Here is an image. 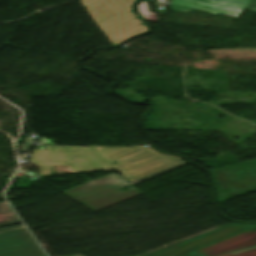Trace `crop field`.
<instances>
[{"mask_svg":"<svg viewBox=\"0 0 256 256\" xmlns=\"http://www.w3.org/2000/svg\"><path fill=\"white\" fill-rule=\"evenodd\" d=\"M119 162L111 165L110 163ZM183 161L181 158L154 152L142 145L132 147L47 146L34 150L33 164H40L39 174L51 175L52 165H67L71 172L117 169L126 178L138 177Z\"/></svg>","mask_w":256,"mask_h":256,"instance_id":"crop-field-1","label":"crop field"},{"mask_svg":"<svg viewBox=\"0 0 256 256\" xmlns=\"http://www.w3.org/2000/svg\"><path fill=\"white\" fill-rule=\"evenodd\" d=\"M112 45L146 31L130 9L133 0H81Z\"/></svg>","mask_w":256,"mask_h":256,"instance_id":"crop-field-2","label":"crop field"},{"mask_svg":"<svg viewBox=\"0 0 256 256\" xmlns=\"http://www.w3.org/2000/svg\"><path fill=\"white\" fill-rule=\"evenodd\" d=\"M188 162L183 161L161 171L141 177L129 182L127 179L112 173L82 185L76 186L70 190L63 192L71 198L81 202L91 210L95 211L107 205L113 204L130 196L140 193L134 186L127 187V191L122 188L135 184L147 178L153 177L175 167L181 166Z\"/></svg>","mask_w":256,"mask_h":256,"instance_id":"crop-field-3","label":"crop field"},{"mask_svg":"<svg viewBox=\"0 0 256 256\" xmlns=\"http://www.w3.org/2000/svg\"><path fill=\"white\" fill-rule=\"evenodd\" d=\"M211 171L219 185L217 202L256 191V160Z\"/></svg>","mask_w":256,"mask_h":256,"instance_id":"crop-field-4","label":"crop field"},{"mask_svg":"<svg viewBox=\"0 0 256 256\" xmlns=\"http://www.w3.org/2000/svg\"><path fill=\"white\" fill-rule=\"evenodd\" d=\"M253 227H256V225L232 224L148 256H202L197 253L196 249L228 238Z\"/></svg>","mask_w":256,"mask_h":256,"instance_id":"crop-field-5","label":"crop field"},{"mask_svg":"<svg viewBox=\"0 0 256 256\" xmlns=\"http://www.w3.org/2000/svg\"><path fill=\"white\" fill-rule=\"evenodd\" d=\"M0 256H45L23 225L0 230Z\"/></svg>","mask_w":256,"mask_h":256,"instance_id":"crop-field-6","label":"crop field"},{"mask_svg":"<svg viewBox=\"0 0 256 256\" xmlns=\"http://www.w3.org/2000/svg\"><path fill=\"white\" fill-rule=\"evenodd\" d=\"M250 0H173L171 9L190 13L192 10L238 17Z\"/></svg>","mask_w":256,"mask_h":256,"instance_id":"crop-field-7","label":"crop field"},{"mask_svg":"<svg viewBox=\"0 0 256 256\" xmlns=\"http://www.w3.org/2000/svg\"><path fill=\"white\" fill-rule=\"evenodd\" d=\"M198 251L205 256H256V229Z\"/></svg>","mask_w":256,"mask_h":256,"instance_id":"crop-field-8","label":"crop field"},{"mask_svg":"<svg viewBox=\"0 0 256 256\" xmlns=\"http://www.w3.org/2000/svg\"><path fill=\"white\" fill-rule=\"evenodd\" d=\"M18 222L19 220L16 218V216L5 203V201L0 202V227Z\"/></svg>","mask_w":256,"mask_h":256,"instance_id":"crop-field-9","label":"crop field"},{"mask_svg":"<svg viewBox=\"0 0 256 256\" xmlns=\"http://www.w3.org/2000/svg\"><path fill=\"white\" fill-rule=\"evenodd\" d=\"M33 147L32 137H27L21 146L20 151L28 152Z\"/></svg>","mask_w":256,"mask_h":256,"instance_id":"crop-field-10","label":"crop field"},{"mask_svg":"<svg viewBox=\"0 0 256 256\" xmlns=\"http://www.w3.org/2000/svg\"><path fill=\"white\" fill-rule=\"evenodd\" d=\"M244 9L256 12V0H251Z\"/></svg>","mask_w":256,"mask_h":256,"instance_id":"crop-field-11","label":"crop field"},{"mask_svg":"<svg viewBox=\"0 0 256 256\" xmlns=\"http://www.w3.org/2000/svg\"><path fill=\"white\" fill-rule=\"evenodd\" d=\"M32 157H33V152H32L31 157H30V161H31V163H32Z\"/></svg>","mask_w":256,"mask_h":256,"instance_id":"crop-field-12","label":"crop field"}]
</instances>
